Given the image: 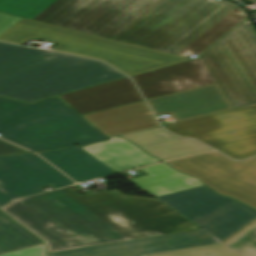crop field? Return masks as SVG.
I'll return each instance as SVG.
<instances>
[{"mask_svg": "<svg viewBox=\"0 0 256 256\" xmlns=\"http://www.w3.org/2000/svg\"><path fill=\"white\" fill-rule=\"evenodd\" d=\"M248 159H249V158H248ZM255 159H256V157H255V158H252V159H249V160L241 161L240 163H242V164H244V165H247V164H249L250 162L254 161Z\"/></svg>", "mask_w": 256, "mask_h": 256, "instance_id": "crop-field-28", "label": "crop field"}, {"mask_svg": "<svg viewBox=\"0 0 256 256\" xmlns=\"http://www.w3.org/2000/svg\"><path fill=\"white\" fill-rule=\"evenodd\" d=\"M59 98L80 115L143 100L128 77L64 94Z\"/></svg>", "mask_w": 256, "mask_h": 256, "instance_id": "crop-field-15", "label": "crop field"}, {"mask_svg": "<svg viewBox=\"0 0 256 256\" xmlns=\"http://www.w3.org/2000/svg\"><path fill=\"white\" fill-rule=\"evenodd\" d=\"M106 136L158 127L145 101L83 115Z\"/></svg>", "mask_w": 256, "mask_h": 256, "instance_id": "crop-field-16", "label": "crop field"}, {"mask_svg": "<svg viewBox=\"0 0 256 256\" xmlns=\"http://www.w3.org/2000/svg\"><path fill=\"white\" fill-rule=\"evenodd\" d=\"M164 128L179 136L196 138L233 159L256 155V104L165 125Z\"/></svg>", "mask_w": 256, "mask_h": 256, "instance_id": "crop-field-8", "label": "crop field"}, {"mask_svg": "<svg viewBox=\"0 0 256 256\" xmlns=\"http://www.w3.org/2000/svg\"><path fill=\"white\" fill-rule=\"evenodd\" d=\"M148 256H256V221L222 244Z\"/></svg>", "mask_w": 256, "mask_h": 256, "instance_id": "crop-field-20", "label": "crop field"}, {"mask_svg": "<svg viewBox=\"0 0 256 256\" xmlns=\"http://www.w3.org/2000/svg\"><path fill=\"white\" fill-rule=\"evenodd\" d=\"M107 139L109 140L107 142L81 148L117 172L161 162V160L145 154L137 146L120 137Z\"/></svg>", "mask_w": 256, "mask_h": 256, "instance_id": "crop-field-19", "label": "crop field"}, {"mask_svg": "<svg viewBox=\"0 0 256 256\" xmlns=\"http://www.w3.org/2000/svg\"><path fill=\"white\" fill-rule=\"evenodd\" d=\"M142 170L149 175L130 179V181L155 197L203 185L192 177L174 171L164 163L142 168Z\"/></svg>", "mask_w": 256, "mask_h": 256, "instance_id": "crop-field-21", "label": "crop field"}, {"mask_svg": "<svg viewBox=\"0 0 256 256\" xmlns=\"http://www.w3.org/2000/svg\"><path fill=\"white\" fill-rule=\"evenodd\" d=\"M147 102L155 115L170 113L176 122L232 108L217 83Z\"/></svg>", "mask_w": 256, "mask_h": 256, "instance_id": "crop-field-14", "label": "crop field"}, {"mask_svg": "<svg viewBox=\"0 0 256 256\" xmlns=\"http://www.w3.org/2000/svg\"><path fill=\"white\" fill-rule=\"evenodd\" d=\"M21 17L0 13V35L18 22Z\"/></svg>", "mask_w": 256, "mask_h": 256, "instance_id": "crop-field-26", "label": "crop field"}, {"mask_svg": "<svg viewBox=\"0 0 256 256\" xmlns=\"http://www.w3.org/2000/svg\"><path fill=\"white\" fill-rule=\"evenodd\" d=\"M244 18L245 17L239 8L235 7L213 26L187 44L183 49L176 53V55L187 58L193 54L199 55Z\"/></svg>", "mask_w": 256, "mask_h": 256, "instance_id": "crop-field-22", "label": "crop field"}, {"mask_svg": "<svg viewBox=\"0 0 256 256\" xmlns=\"http://www.w3.org/2000/svg\"><path fill=\"white\" fill-rule=\"evenodd\" d=\"M22 148L9 144L5 141L0 140V156L2 155H10V154H19V153H28Z\"/></svg>", "mask_w": 256, "mask_h": 256, "instance_id": "crop-field-27", "label": "crop field"}, {"mask_svg": "<svg viewBox=\"0 0 256 256\" xmlns=\"http://www.w3.org/2000/svg\"><path fill=\"white\" fill-rule=\"evenodd\" d=\"M221 242L203 229L48 254L49 256H144V254Z\"/></svg>", "mask_w": 256, "mask_h": 256, "instance_id": "crop-field-12", "label": "crop field"}, {"mask_svg": "<svg viewBox=\"0 0 256 256\" xmlns=\"http://www.w3.org/2000/svg\"><path fill=\"white\" fill-rule=\"evenodd\" d=\"M29 38L58 44L53 50L103 60L128 76L189 60L25 18L0 36V40L19 44Z\"/></svg>", "mask_w": 256, "mask_h": 256, "instance_id": "crop-field-5", "label": "crop field"}, {"mask_svg": "<svg viewBox=\"0 0 256 256\" xmlns=\"http://www.w3.org/2000/svg\"><path fill=\"white\" fill-rule=\"evenodd\" d=\"M158 0H57L33 20L110 39Z\"/></svg>", "mask_w": 256, "mask_h": 256, "instance_id": "crop-field-7", "label": "crop field"}, {"mask_svg": "<svg viewBox=\"0 0 256 256\" xmlns=\"http://www.w3.org/2000/svg\"><path fill=\"white\" fill-rule=\"evenodd\" d=\"M55 0H0V12L32 19Z\"/></svg>", "mask_w": 256, "mask_h": 256, "instance_id": "crop-field-24", "label": "crop field"}, {"mask_svg": "<svg viewBox=\"0 0 256 256\" xmlns=\"http://www.w3.org/2000/svg\"><path fill=\"white\" fill-rule=\"evenodd\" d=\"M157 199L221 241L256 218L253 208L220 196L205 185Z\"/></svg>", "mask_w": 256, "mask_h": 256, "instance_id": "crop-field-9", "label": "crop field"}, {"mask_svg": "<svg viewBox=\"0 0 256 256\" xmlns=\"http://www.w3.org/2000/svg\"><path fill=\"white\" fill-rule=\"evenodd\" d=\"M121 77L102 62L0 42V97L30 103Z\"/></svg>", "mask_w": 256, "mask_h": 256, "instance_id": "crop-field-2", "label": "crop field"}, {"mask_svg": "<svg viewBox=\"0 0 256 256\" xmlns=\"http://www.w3.org/2000/svg\"><path fill=\"white\" fill-rule=\"evenodd\" d=\"M147 153L162 160L210 151L212 149L191 139L171 135L161 127L122 135Z\"/></svg>", "mask_w": 256, "mask_h": 256, "instance_id": "crop-field-17", "label": "crop field"}, {"mask_svg": "<svg viewBox=\"0 0 256 256\" xmlns=\"http://www.w3.org/2000/svg\"><path fill=\"white\" fill-rule=\"evenodd\" d=\"M0 256H46L44 246H35L7 254H3Z\"/></svg>", "mask_w": 256, "mask_h": 256, "instance_id": "crop-field-25", "label": "crop field"}, {"mask_svg": "<svg viewBox=\"0 0 256 256\" xmlns=\"http://www.w3.org/2000/svg\"><path fill=\"white\" fill-rule=\"evenodd\" d=\"M74 184L34 153L0 157V208L12 199Z\"/></svg>", "mask_w": 256, "mask_h": 256, "instance_id": "crop-field-11", "label": "crop field"}, {"mask_svg": "<svg viewBox=\"0 0 256 256\" xmlns=\"http://www.w3.org/2000/svg\"><path fill=\"white\" fill-rule=\"evenodd\" d=\"M200 57L233 108L256 103V30L249 19Z\"/></svg>", "mask_w": 256, "mask_h": 256, "instance_id": "crop-field-6", "label": "crop field"}, {"mask_svg": "<svg viewBox=\"0 0 256 256\" xmlns=\"http://www.w3.org/2000/svg\"><path fill=\"white\" fill-rule=\"evenodd\" d=\"M42 243L0 211V253Z\"/></svg>", "mask_w": 256, "mask_h": 256, "instance_id": "crop-field-23", "label": "crop field"}, {"mask_svg": "<svg viewBox=\"0 0 256 256\" xmlns=\"http://www.w3.org/2000/svg\"><path fill=\"white\" fill-rule=\"evenodd\" d=\"M145 100L215 83L200 59L131 76Z\"/></svg>", "mask_w": 256, "mask_h": 256, "instance_id": "crop-field-13", "label": "crop field"}, {"mask_svg": "<svg viewBox=\"0 0 256 256\" xmlns=\"http://www.w3.org/2000/svg\"><path fill=\"white\" fill-rule=\"evenodd\" d=\"M0 133L34 152L107 140L57 97L32 104L0 98Z\"/></svg>", "mask_w": 256, "mask_h": 256, "instance_id": "crop-field-3", "label": "crop field"}, {"mask_svg": "<svg viewBox=\"0 0 256 256\" xmlns=\"http://www.w3.org/2000/svg\"><path fill=\"white\" fill-rule=\"evenodd\" d=\"M167 163L202 180L220 194L256 208V160L246 167L218 152H209Z\"/></svg>", "mask_w": 256, "mask_h": 256, "instance_id": "crop-field-10", "label": "crop field"}, {"mask_svg": "<svg viewBox=\"0 0 256 256\" xmlns=\"http://www.w3.org/2000/svg\"><path fill=\"white\" fill-rule=\"evenodd\" d=\"M3 209L46 240L48 253L198 229L157 199L117 190L79 196L62 188Z\"/></svg>", "mask_w": 256, "mask_h": 256, "instance_id": "crop-field-1", "label": "crop field"}, {"mask_svg": "<svg viewBox=\"0 0 256 256\" xmlns=\"http://www.w3.org/2000/svg\"><path fill=\"white\" fill-rule=\"evenodd\" d=\"M67 174L76 182H82L116 173L114 170L77 146L37 153Z\"/></svg>", "mask_w": 256, "mask_h": 256, "instance_id": "crop-field-18", "label": "crop field"}, {"mask_svg": "<svg viewBox=\"0 0 256 256\" xmlns=\"http://www.w3.org/2000/svg\"><path fill=\"white\" fill-rule=\"evenodd\" d=\"M234 7L222 0H159L111 39L175 54Z\"/></svg>", "mask_w": 256, "mask_h": 256, "instance_id": "crop-field-4", "label": "crop field"}]
</instances>
